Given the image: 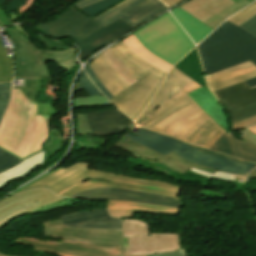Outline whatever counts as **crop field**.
<instances>
[{
    "mask_svg": "<svg viewBox=\"0 0 256 256\" xmlns=\"http://www.w3.org/2000/svg\"><path fill=\"white\" fill-rule=\"evenodd\" d=\"M167 79L178 85L175 92L138 124L209 148L224 131L187 95L201 86L175 67Z\"/></svg>",
    "mask_w": 256,
    "mask_h": 256,
    "instance_id": "obj_1",
    "label": "crop field"
},
{
    "mask_svg": "<svg viewBox=\"0 0 256 256\" xmlns=\"http://www.w3.org/2000/svg\"><path fill=\"white\" fill-rule=\"evenodd\" d=\"M96 187L125 188L171 197H178L180 192V187L176 185L92 171L89 170V164L78 163L67 169L60 167L15 193L33 188H49L57 195L69 196Z\"/></svg>",
    "mask_w": 256,
    "mask_h": 256,
    "instance_id": "obj_2",
    "label": "crop field"
},
{
    "mask_svg": "<svg viewBox=\"0 0 256 256\" xmlns=\"http://www.w3.org/2000/svg\"><path fill=\"white\" fill-rule=\"evenodd\" d=\"M44 235L63 238L61 243L17 238L14 242L34 246L59 256H127L128 238L121 230L63 227L61 220L43 223ZM145 256V255H139Z\"/></svg>",
    "mask_w": 256,
    "mask_h": 256,
    "instance_id": "obj_3",
    "label": "crop field"
},
{
    "mask_svg": "<svg viewBox=\"0 0 256 256\" xmlns=\"http://www.w3.org/2000/svg\"><path fill=\"white\" fill-rule=\"evenodd\" d=\"M37 104L27 100L20 90L13 89L9 108L0 125V148L24 159L42 151L49 137L50 115H36Z\"/></svg>",
    "mask_w": 256,
    "mask_h": 256,
    "instance_id": "obj_4",
    "label": "crop field"
},
{
    "mask_svg": "<svg viewBox=\"0 0 256 256\" xmlns=\"http://www.w3.org/2000/svg\"><path fill=\"white\" fill-rule=\"evenodd\" d=\"M197 48L205 76L248 60L256 65V36L227 20ZM246 83L249 87L255 86L256 78Z\"/></svg>",
    "mask_w": 256,
    "mask_h": 256,
    "instance_id": "obj_5",
    "label": "crop field"
},
{
    "mask_svg": "<svg viewBox=\"0 0 256 256\" xmlns=\"http://www.w3.org/2000/svg\"><path fill=\"white\" fill-rule=\"evenodd\" d=\"M89 65L114 96L109 100L133 120L139 116L162 82L149 74L129 87L103 54Z\"/></svg>",
    "mask_w": 256,
    "mask_h": 256,
    "instance_id": "obj_6",
    "label": "crop field"
},
{
    "mask_svg": "<svg viewBox=\"0 0 256 256\" xmlns=\"http://www.w3.org/2000/svg\"><path fill=\"white\" fill-rule=\"evenodd\" d=\"M134 36L146 50L171 65L195 47L170 12L137 31Z\"/></svg>",
    "mask_w": 256,
    "mask_h": 256,
    "instance_id": "obj_7",
    "label": "crop field"
},
{
    "mask_svg": "<svg viewBox=\"0 0 256 256\" xmlns=\"http://www.w3.org/2000/svg\"><path fill=\"white\" fill-rule=\"evenodd\" d=\"M14 43V62H37L41 80H52L45 62L51 60L58 64L59 68L69 70L70 67L76 64L77 49L74 46L65 45L39 36V41L50 49H65V52L48 51L38 48L34 45L28 34L21 26L15 25L3 29Z\"/></svg>",
    "mask_w": 256,
    "mask_h": 256,
    "instance_id": "obj_8",
    "label": "crop field"
},
{
    "mask_svg": "<svg viewBox=\"0 0 256 256\" xmlns=\"http://www.w3.org/2000/svg\"><path fill=\"white\" fill-rule=\"evenodd\" d=\"M135 135L166 146L174 150L173 152L183 159L224 172L247 175L252 168L256 167L255 163L240 161L235 158L212 152L197 146L189 145L178 139H174L162 134H156L142 128H140Z\"/></svg>",
    "mask_w": 256,
    "mask_h": 256,
    "instance_id": "obj_9",
    "label": "crop field"
},
{
    "mask_svg": "<svg viewBox=\"0 0 256 256\" xmlns=\"http://www.w3.org/2000/svg\"><path fill=\"white\" fill-rule=\"evenodd\" d=\"M72 198L58 197L49 190L35 189L0 201V227L22 216L65 206Z\"/></svg>",
    "mask_w": 256,
    "mask_h": 256,
    "instance_id": "obj_10",
    "label": "crop field"
},
{
    "mask_svg": "<svg viewBox=\"0 0 256 256\" xmlns=\"http://www.w3.org/2000/svg\"><path fill=\"white\" fill-rule=\"evenodd\" d=\"M123 236L129 237L128 255L182 250L179 234L149 233L148 223L142 220H123Z\"/></svg>",
    "mask_w": 256,
    "mask_h": 256,
    "instance_id": "obj_11",
    "label": "crop field"
},
{
    "mask_svg": "<svg viewBox=\"0 0 256 256\" xmlns=\"http://www.w3.org/2000/svg\"><path fill=\"white\" fill-rule=\"evenodd\" d=\"M36 27L43 29L57 40L71 37L76 43L86 35L104 26L95 18L89 19L71 6L55 20L39 24Z\"/></svg>",
    "mask_w": 256,
    "mask_h": 256,
    "instance_id": "obj_12",
    "label": "crop field"
},
{
    "mask_svg": "<svg viewBox=\"0 0 256 256\" xmlns=\"http://www.w3.org/2000/svg\"><path fill=\"white\" fill-rule=\"evenodd\" d=\"M249 4L246 0H191L179 7L214 30Z\"/></svg>",
    "mask_w": 256,
    "mask_h": 256,
    "instance_id": "obj_13",
    "label": "crop field"
},
{
    "mask_svg": "<svg viewBox=\"0 0 256 256\" xmlns=\"http://www.w3.org/2000/svg\"><path fill=\"white\" fill-rule=\"evenodd\" d=\"M71 197L90 199V200H119V201H132L142 202L158 205H167L180 207L182 202L179 198H170L157 196L153 194L134 192L125 189H114V188H96L79 192Z\"/></svg>",
    "mask_w": 256,
    "mask_h": 256,
    "instance_id": "obj_14",
    "label": "crop field"
},
{
    "mask_svg": "<svg viewBox=\"0 0 256 256\" xmlns=\"http://www.w3.org/2000/svg\"><path fill=\"white\" fill-rule=\"evenodd\" d=\"M113 145L122 148L124 150L130 151L133 153L134 157L142 160H148L151 162H162L164 165H166L168 168L174 171H178L182 174L187 172L192 167L201 169L207 172H210L214 174L216 170L207 168L204 166L193 164L189 161L181 159L179 156L174 154L173 152L170 154H167L165 156H162L161 154L146 148L142 145H137L133 141H131L128 137L125 135L120 138L118 141H116Z\"/></svg>",
    "mask_w": 256,
    "mask_h": 256,
    "instance_id": "obj_15",
    "label": "crop field"
},
{
    "mask_svg": "<svg viewBox=\"0 0 256 256\" xmlns=\"http://www.w3.org/2000/svg\"><path fill=\"white\" fill-rule=\"evenodd\" d=\"M133 29L134 27L120 18L112 24L83 38L81 41L75 44L80 48L79 60L81 61L92 55L100 48L108 45L110 42L118 39L121 35Z\"/></svg>",
    "mask_w": 256,
    "mask_h": 256,
    "instance_id": "obj_16",
    "label": "crop field"
},
{
    "mask_svg": "<svg viewBox=\"0 0 256 256\" xmlns=\"http://www.w3.org/2000/svg\"><path fill=\"white\" fill-rule=\"evenodd\" d=\"M168 8L160 0H139L100 20V22L106 26L121 17L131 25L137 27Z\"/></svg>",
    "mask_w": 256,
    "mask_h": 256,
    "instance_id": "obj_17",
    "label": "crop field"
},
{
    "mask_svg": "<svg viewBox=\"0 0 256 256\" xmlns=\"http://www.w3.org/2000/svg\"><path fill=\"white\" fill-rule=\"evenodd\" d=\"M89 127L95 135L119 134L133 122L119 110H104L87 113Z\"/></svg>",
    "mask_w": 256,
    "mask_h": 256,
    "instance_id": "obj_18",
    "label": "crop field"
},
{
    "mask_svg": "<svg viewBox=\"0 0 256 256\" xmlns=\"http://www.w3.org/2000/svg\"><path fill=\"white\" fill-rule=\"evenodd\" d=\"M64 226L121 229V221L110 218L107 208L61 216Z\"/></svg>",
    "mask_w": 256,
    "mask_h": 256,
    "instance_id": "obj_19",
    "label": "crop field"
},
{
    "mask_svg": "<svg viewBox=\"0 0 256 256\" xmlns=\"http://www.w3.org/2000/svg\"><path fill=\"white\" fill-rule=\"evenodd\" d=\"M226 112L256 102V87L251 89L244 82L213 91Z\"/></svg>",
    "mask_w": 256,
    "mask_h": 256,
    "instance_id": "obj_20",
    "label": "crop field"
},
{
    "mask_svg": "<svg viewBox=\"0 0 256 256\" xmlns=\"http://www.w3.org/2000/svg\"><path fill=\"white\" fill-rule=\"evenodd\" d=\"M256 77V66L250 61L207 76L211 91Z\"/></svg>",
    "mask_w": 256,
    "mask_h": 256,
    "instance_id": "obj_21",
    "label": "crop field"
},
{
    "mask_svg": "<svg viewBox=\"0 0 256 256\" xmlns=\"http://www.w3.org/2000/svg\"><path fill=\"white\" fill-rule=\"evenodd\" d=\"M117 56L124 63L126 68L131 72V74L138 80L139 78L151 73L161 79H164L167 75L156 67L146 63L137 55H135L124 43L123 41L115 46L111 47ZM140 80V79H139Z\"/></svg>",
    "mask_w": 256,
    "mask_h": 256,
    "instance_id": "obj_22",
    "label": "crop field"
},
{
    "mask_svg": "<svg viewBox=\"0 0 256 256\" xmlns=\"http://www.w3.org/2000/svg\"><path fill=\"white\" fill-rule=\"evenodd\" d=\"M107 205L112 217H133L134 212L178 215L180 211V208L175 207L132 202L108 201Z\"/></svg>",
    "mask_w": 256,
    "mask_h": 256,
    "instance_id": "obj_23",
    "label": "crop field"
},
{
    "mask_svg": "<svg viewBox=\"0 0 256 256\" xmlns=\"http://www.w3.org/2000/svg\"><path fill=\"white\" fill-rule=\"evenodd\" d=\"M189 96L197 102L200 107L205 111V113L213 119L223 130L230 133L228 121L225 112L221 105L218 103L217 99L209 90L208 86L204 88H199Z\"/></svg>",
    "mask_w": 256,
    "mask_h": 256,
    "instance_id": "obj_24",
    "label": "crop field"
},
{
    "mask_svg": "<svg viewBox=\"0 0 256 256\" xmlns=\"http://www.w3.org/2000/svg\"><path fill=\"white\" fill-rule=\"evenodd\" d=\"M209 149L256 162V147L223 134Z\"/></svg>",
    "mask_w": 256,
    "mask_h": 256,
    "instance_id": "obj_25",
    "label": "crop field"
},
{
    "mask_svg": "<svg viewBox=\"0 0 256 256\" xmlns=\"http://www.w3.org/2000/svg\"><path fill=\"white\" fill-rule=\"evenodd\" d=\"M46 150L39 152L9 170L0 173V188L6 185L8 182L14 181L27 173L31 172L37 165L45 162Z\"/></svg>",
    "mask_w": 256,
    "mask_h": 256,
    "instance_id": "obj_26",
    "label": "crop field"
},
{
    "mask_svg": "<svg viewBox=\"0 0 256 256\" xmlns=\"http://www.w3.org/2000/svg\"><path fill=\"white\" fill-rule=\"evenodd\" d=\"M171 12L196 44L202 41L209 33L213 31L205 24L188 15L178 7L171 10Z\"/></svg>",
    "mask_w": 256,
    "mask_h": 256,
    "instance_id": "obj_27",
    "label": "crop field"
},
{
    "mask_svg": "<svg viewBox=\"0 0 256 256\" xmlns=\"http://www.w3.org/2000/svg\"><path fill=\"white\" fill-rule=\"evenodd\" d=\"M175 67L188 75L202 87L207 85L204 80L202 67L196 48L192 50L183 60L178 62Z\"/></svg>",
    "mask_w": 256,
    "mask_h": 256,
    "instance_id": "obj_28",
    "label": "crop field"
},
{
    "mask_svg": "<svg viewBox=\"0 0 256 256\" xmlns=\"http://www.w3.org/2000/svg\"><path fill=\"white\" fill-rule=\"evenodd\" d=\"M124 43L135 53L137 54L139 57H141L143 60H145L146 62L158 67L159 69L165 71V72H169V70L173 67L163 61H161L160 59H158L156 56L150 54L149 52H147L141 45L140 43L137 41V39L132 35H130L129 37H127L125 40H123Z\"/></svg>",
    "mask_w": 256,
    "mask_h": 256,
    "instance_id": "obj_29",
    "label": "crop field"
},
{
    "mask_svg": "<svg viewBox=\"0 0 256 256\" xmlns=\"http://www.w3.org/2000/svg\"><path fill=\"white\" fill-rule=\"evenodd\" d=\"M42 87H43V82L42 81L26 80V87H13V88H20V90L26 96L27 99L36 102L34 100V98L39 96V94L35 93V91L42 92ZM56 112L57 111L54 109L52 104L38 103L37 114H50V115H53Z\"/></svg>",
    "mask_w": 256,
    "mask_h": 256,
    "instance_id": "obj_30",
    "label": "crop field"
},
{
    "mask_svg": "<svg viewBox=\"0 0 256 256\" xmlns=\"http://www.w3.org/2000/svg\"><path fill=\"white\" fill-rule=\"evenodd\" d=\"M227 20L256 35V2Z\"/></svg>",
    "mask_w": 256,
    "mask_h": 256,
    "instance_id": "obj_31",
    "label": "crop field"
},
{
    "mask_svg": "<svg viewBox=\"0 0 256 256\" xmlns=\"http://www.w3.org/2000/svg\"><path fill=\"white\" fill-rule=\"evenodd\" d=\"M177 85L169 80H165L154 98L152 99L149 106L144 110V112L137 119L136 123L145 118L149 113L156 109L163 101H165L175 90Z\"/></svg>",
    "mask_w": 256,
    "mask_h": 256,
    "instance_id": "obj_32",
    "label": "crop field"
},
{
    "mask_svg": "<svg viewBox=\"0 0 256 256\" xmlns=\"http://www.w3.org/2000/svg\"><path fill=\"white\" fill-rule=\"evenodd\" d=\"M106 58L110 61V63L115 67L118 73L123 77V79L128 83L130 86L136 80L134 77L129 73V71L125 68L122 64L120 59L116 56V54L110 49L103 52Z\"/></svg>",
    "mask_w": 256,
    "mask_h": 256,
    "instance_id": "obj_33",
    "label": "crop field"
},
{
    "mask_svg": "<svg viewBox=\"0 0 256 256\" xmlns=\"http://www.w3.org/2000/svg\"><path fill=\"white\" fill-rule=\"evenodd\" d=\"M3 81H12V57L6 55L0 43V82Z\"/></svg>",
    "mask_w": 256,
    "mask_h": 256,
    "instance_id": "obj_34",
    "label": "crop field"
},
{
    "mask_svg": "<svg viewBox=\"0 0 256 256\" xmlns=\"http://www.w3.org/2000/svg\"><path fill=\"white\" fill-rule=\"evenodd\" d=\"M99 106H111V103L108 102L104 96L85 97V98L74 99L75 109L99 107Z\"/></svg>",
    "mask_w": 256,
    "mask_h": 256,
    "instance_id": "obj_35",
    "label": "crop field"
},
{
    "mask_svg": "<svg viewBox=\"0 0 256 256\" xmlns=\"http://www.w3.org/2000/svg\"><path fill=\"white\" fill-rule=\"evenodd\" d=\"M120 1L122 0H102L85 8H82L80 9V11L87 15L89 18H93L94 16L98 15L109 7L119 3Z\"/></svg>",
    "mask_w": 256,
    "mask_h": 256,
    "instance_id": "obj_36",
    "label": "crop field"
},
{
    "mask_svg": "<svg viewBox=\"0 0 256 256\" xmlns=\"http://www.w3.org/2000/svg\"><path fill=\"white\" fill-rule=\"evenodd\" d=\"M50 141L45 144V149L50 152V155L46 156V160H48L52 155H54L57 151H59L62 145L66 142H61L62 134L58 131L57 128L50 130ZM64 146V145H63Z\"/></svg>",
    "mask_w": 256,
    "mask_h": 256,
    "instance_id": "obj_37",
    "label": "crop field"
},
{
    "mask_svg": "<svg viewBox=\"0 0 256 256\" xmlns=\"http://www.w3.org/2000/svg\"><path fill=\"white\" fill-rule=\"evenodd\" d=\"M15 77H38V67L36 63L15 64Z\"/></svg>",
    "mask_w": 256,
    "mask_h": 256,
    "instance_id": "obj_38",
    "label": "crop field"
},
{
    "mask_svg": "<svg viewBox=\"0 0 256 256\" xmlns=\"http://www.w3.org/2000/svg\"><path fill=\"white\" fill-rule=\"evenodd\" d=\"M255 114H256V103L242 107L240 109H237L228 113L231 123L241 120L243 118H248Z\"/></svg>",
    "mask_w": 256,
    "mask_h": 256,
    "instance_id": "obj_39",
    "label": "crop field"
},
{
    "mask_svg": "<svg viewBox=\"0 0 256 256\" xmlns=\"http://www.w3.org/2000/svg\"><path fill=\"white\" fill-rule=\"evenodd\" d=\"M11 83L0 84V121L10 100Z\"/></svg>",
    "mask_w": 256,
    "mask_h": 256,
    "instance_id": "obj_40",
    "label": "crop field"
},
{
    "mask_svg": "<svg viewBox=\"0 0 256 256\" xmlns=\"http://www.w3.org/2000/svg\"><path fill=\"white\" fill-rule=\"evenodd\" d=\"M130 139H132L134 142L138 143V144H142L144 146H147L163 155L167 154V153H170L172 152V150L166 148V147H163V146H160L158 144H155L149 140H146V139H143V138H140V137H137V136H133L131 135L130 133L128 135Z\"/></svg>",
    "mask_w": 256,
    "mask_h": 256,
    "instance_id": "obj_41",
    "label": "crop field"
},
{
    "mask_svg": "<svg viewBox=\"0 0 256 256\" xmlns=\"http://www.w3.org/2000/svg\"><path fill=\"white\" fill-rule=\"evenodd\" d=\"M21 160L0 149V172L14 166Z\"/></svg>",
    "mask_w": 256,
    "mask_h": 256,
    "instance_id": "obj_42",
    "label": "crop field"
},
{
    "mask_svg": "<svg viewBox=\"0 0 256 256\" xmlns=\"http://www.w3.org/2000/svg\"><path fill=\"white\" fill-rule=\"evenodd\" d=\"M79 85L85 90L89 96L102 95L95 86L89 81L87 75L82 71L79 79L77 80Z\"/></svg>",
    "mask_w": 256,
    "mask_h": 256,
    "instance_id": "obj_43",
    "label": "crop field"
},
{
    "mask_svg": "<svg viewBox=\"0 0 256 256\" xmlns=\"http://www.w3.org/2000/svg\"><path fill=\"white\" fill-rule=\"evenodd\" d=\"M191 170H193V171H195L199 174L208 176V177H212V178L220 179V180H226V181H230V182H236L235 177L242 178V179L246 178V176H239V175H234V174H229V173H223V172H220V171H216V173L214 175H212V174H209L207 172L197 170V169H194V168H192Z\"/></svg>",
    "mask_w": 256,
    "mask_h": 256,
    "instance_id": "obj_44",
    "label": "crop field"
},
{
    "mask_svg": "<svg viewBox=\"0 0 256 256\" xmlns=\"http://www.w3.org/2000/svg\"><path fill=\"white\" fill-rule=\"evenodd\" d=\"M77 131L81 136L94 135L88 127L86 113L76 114Z\"/></svg>",
    "mask_w": 256,
    "mask_h": 256,
    "instance_id": "obj_45",
    "label": "crop field"
},
{
    "mask_svg": "<svg viewBox=\"0 0 256 256\" xmlns=\"http://www.w3.org/2000/svg\"><path fill=\"white\" fill-rule=\"evenodd\" d=\"M255 124H256V115L251 118L244 119V120H241V121L231 124V130H232V132L240 131V130H244L248 127H251Z\"/></svg>",
    "mask_w": 256,
    "mask_h": 256,
    "instance_id": "obj_46",
    "label": "crop field"
},
{
    "mask_svg": "<svg viewBox=\"0 0 256 256\" xmlns=\"http://www.w3.org/2000/svg\"><path fill=\"white\" fill-rule=\"evenodd\" d=\"M134 1H136V0H124V1L120 2L119 4H117V5L109 8L108 10L104 11L103 13L99 14L95 18L97 20L102 19V18H104V17H106V16L124 8L125 6L129 5L130 3L134 2Z\"/></svg>",
    "mask_w": 256,
    "mask_h": 256,
    "instance_id": "obj_47",
    "label": "crop field"
},
{
    "mask_svg": "<svg viewBox=\"0 0 256 256\" xmlns=\"http://www.w3.org/2000/svg\"><path fill=\"white\" fill-rule=\"evenodd\" d=\"M88 74V76L90 77V79L92 80V82L109 98L113 97L105 88L104 86L101 84V82L98 80V78L96 77V75L94 74L93 70L90 68V66L88 65L86 68H84Z\"/></svg>",
    "mask_w": 256,
    "mask_h": 256,
    "instance_id": "obj_48",
    "label": "crop field"
},
{
    "mask_svg": "<svg viewBox=\"0 0 256 256\" xmlns=\"http://www.w3.org/2000/svg\"><path fill=\"white\" fill-rule=\"evenodd\" d=\"M241 137L248 141L249 143L255 144L256 145V134L252 132L251 130H246L242 132Z\"/></svg>",
    "mask_w": 256,
    "mask_h": 256,
    "instance_id": "obj_49",
    "label": "crop field"
},
{
    "mask_svg": "<svg viewBox=\"0 0 256 256\" xmlns=\"http://www.w3.org/2000/svg\"><path fill=\"white\" fill-rule=\"evenodd\" d=\"M10 24H15V23L11 21L9 17L6 16L3 10L0 8V27L3 28Z\"/></svg>",
    "mask_w": 256,
    "mask_h": 256,
    "instance_id": "obj_50",
    "label": "crop field"
},
{
    "mask_svg": "<svg viewBox=\"0 0 256 256\" xmlns=\"http://www.w3.org/2000/svg\"><path fill=\"white\" fill-rule=\"evenodd\" d=\"M97 1H100V0H77L76 2H74L73 6L76 7L77 9H80L82 7L95 3Z\"/></svg>",
    "mask_w": 256,
    "mask_h": 256,
    "instance_id": "obj_51",
    "label": "crop field"
},
{
    "mask_svg": "<svg viewBox=\"0 0 256 256\" xmlns=\"http://www.w3.org/2000/svg\"><path fill=\"white\" fill-rule=\"evenodd\" d=\"M146 256H183V251L172 252V253H160V254L146 255Z\"/></svg>",
    "mask_w": 256,
    "mask_h": 256,
    "instance_id": "obj_52",
    "label": "crop field"
},
{
    "mask_svg": "<svg viewBox=\"0 0 256 256\" xmlns=\"http://www.w3.org/2000/svg\"><path fill=\"white\" fill-rule=\"evenodd\" d=\"M162 1V0H161ZM168 6H172V5H174V4H176V3H178V2H180V1H182V0H163Z\"/></svg>",
    "mask_w": 256,
    "mask_h": 256,
    "instance_id": "obj_53",
    "label": "crop field"
},
{
    "mask_svg": "<svg viewBox=\"0 0 256 256\" xmlns=\"http://www.w3.org/2000/svg\"><path fill=\"white\" fill-rule=\"evenodd\" d=\"M250 178H256V169H254V170L251 172V174L249 175V177L247 178V180L250 179Z\"/></svg>",
    "mask_w": 256,
    "mask_h": 256,
    "instance_id": "obj_54",
    "label": "crop field"
},
{
    "mask_svg": "<svg viewBox=\"0 0 256 256\" xmlns=\"http://www.w3.org/2000/svg\"><path fill=\"white\" fill-rule=\"evenodd\" d=\"M250 129L256 133V126Z\"/></svg>",
    "mask_w": 256,
    "mask_h": 256,
    "instance_id": "obj_55",
    "label": "crop field"
},
{
    "mask_svg": "<svg viewBox=\"0 0 256 256\" xmlns=\"http://www.w3.org/2000/svg\"><path fill=\"white\" fill-rule=\"evenodd\" d=\"M250 3H252L253 1H255V0H248Z\"/></svg>",
    "mask_w": 256,
    "mask_h": 256,
    "instance_id": "obj_56",
    "label": "crop field"
},
{
    "mask_svg": "<svg viewBox=\"0 0 256 256\" xmlns=\"http://www.w3.org/2000/svg\"><path fill=\"white\" fill-rule=\"evenodd\" d=\"M0 256H7V255H2V254H0Z\"/></svg>",
    "mask_w": 256,
    "mask_h": 256,
    "instance_id": "obj_57",
    "label": "crop field"
}]
</instances>
